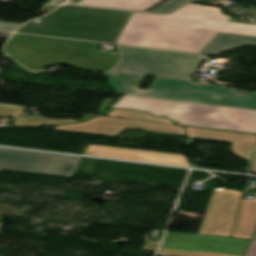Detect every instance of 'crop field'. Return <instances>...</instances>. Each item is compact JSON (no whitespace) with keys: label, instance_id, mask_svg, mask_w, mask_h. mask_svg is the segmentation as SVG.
Returning a JSON list of instances; mask_svg holds the SVG:
<instances>
[{"label":"crop field","instance_id":"1","mask_svg":"<svg viewBox=\"0 0 256 256\" xmlns=\"http://www.w3.org/2000/svg\"><path fill=\"white\" fill-rule=\"evenodd\" d=\"M229 19L208 6L202 19L132 13L117 43L200 53L217 32L256 36V25Z\"/></svg>","mask_w":256,"mask_h":256},{"label":"crop field","instance_id":"2","mask_svg":"<svg viewBox=\"0 0 256 256\" xmlns=\"http://www.w3.org/2000/svg\"><path fill=\"white\" fill-rule=\"evenodd\" d=\"M117 93L256 110V94L241 90L156 77L148 91L138 90L144 75L106 71Z\"/></svg>","mask_w":256,"mask_h":256},{"label":"crop field","instance_id":"3","mask_svg":"<svg viewBox=\"0 0 256 256\" xmlns=\"http://www.w3.org/2000/svg\"><path fill=\"white\" fill-rule=\"evenodd\" d=\"M124 108L166 116L177 123L256 133V111L124 95L110 109ZM251 172H256V155Z\"/></svg>","mask_w":256,"mask_h":256},{"label":"crop field","instance_id":"4","mask_svg":"<svg viewBox=\"0 0 256 256\" xmlns=\"http://www.w3.org/2000/svg\"><path fill=\"white\" fill-rule=\"evenodd\" d=\"M100 44L15 34L4 51L30 70L58 63H74L92 71L115 64L117 54L97 51Z\"/></svg>","mask_w":256,"mask_h":256},{"label":"crop field","instance_id":"5","mask_svg":"<svg viewBox=\"0 0 256 256\" xmlns=\"http://www.w3.org/2000/svg\"><path fill=\"white\" fill-rule=\"evenodd\" d=\"M18 32L114 43L130 12L62 6Z\"/></svg>","mask_w":256,"mask_h":256},{"label":"crop field","instance_id":"6","mask_svg":"<svg viewBox=\"0 0 256 256\" xmlns=\"http://www.w3.org/2000/svg\"><path fill=\"white\" fill-rule=\"evenodd\" d=\"M116 46L119 59L109 69L113 71L191 80L204 58L193 54Z\"/></svg>","mask_w":256,"mask_h":256},{"label":"crop field","instance_id":"7","mask_svg":"<svg viewBox=\"0 0 256 256\" xmlns=\"http://www.w3.org/2000/svg\"><path fill=\"white\" fill-rule=\"evenodd\" d=\"M250 241L168 232L158 256H244Z\"/></svg>","mask_w":256,"mask_h":256},{"label":"crop field","instance_id":"8","mask_svg":"<svg viewBox=\"0 0 256 256\" xmlns=\"http://www.w3.org/2000/svg\"><path fill=\"white\" fill-rule=\"evenodd\" d=\"M81 158L0 149V170L73 176Z\"/></svg>","mask_w":256,"mask_h":256},{"label":"crop field","instance_id":"9","mask_svg":"<svg viewBox=\"0 0 256 256\" xmlns=\"http://www.w3.org/2000/svg\"><path fill=\"white\" fill-rule=\"evenodd\" d=\"M242 193L215 189L198 234L230 237Z\"/></svg>","mask_w":256,"mask_h":256},{"label":"crop field","instance_id":"10","mask_svg":"<svg viewBox=\"0 0 256 256\" xmlns=\"http://www.w3.org/2000/svg\"><path fill=\"white\" fill-rule=\"evenodd\" d=\"M127 128L185 135L184 128L181 126L149 123L103 116H99L98 118H93L89 121L79 124L57 126L54 129L60 131L115 136L120 134Z\"/></svg>","mask_w":256,"mask_h":256},{"label":"crop field","instance_id":"11","mask_svg":"<svg viewBox=\"0 0 256 256\" xmlns=\"http://www.w3.org/2000/svg\"><path fill=\"white\" fill-rule=\"evenodd\" d=\"M186 130H187L188 137H191V138L232 143L231 152L248 161L251 160V156L256 146L255 135H247V134L191 128V127H186Z\"/></svg>","mask_w":256,"mask_h":256},{"label":"crop field","instance_id":"12","mask_svg":"<svg viewBox=\"0 0 256 256\" xmlns=\"http://www.w3.org/2000/svg\"><path fill=\"white\" fill-rule=\"evenodd\" d=\"M86 154L192 167L187 164L183 155H172L96 145H89Z\"/></svg>","mask_w":256,"mask_h":256},{"label":"crop field","instance_id":"13","mask_svg":"<svg viewBox=\"0 0 256 256\" xmlns=\"http://www.w3.org/2000/svg\"><path fill=\"white\" fill-rule=\"evenodd\" d=\"M247 45L256 46V37L217 33L201 54L218 55Z\"/></svg>","mask_w":256,"mask_h":256},{"label":"crop field","instance_id":"14","mask_svg":"<svg viewBox=\"0 0 256 256\" xmlns=\"http://www.w3.org/2000/svg\"><path fill=\"white\" fill-rule=\"evenodd\" d=\"M256 225V198L255 200L242 199L232 236L250 239Z\"/></svg>","mask_w":256,"mask_h":256},{"label":"crop field","instance_id":"15","mask_svg":"<svg viewBox=\"0 0 256 256\" xmlns=\"http://www.w3.org/2000/svg\"><path fill=\"white\" fill-rule=\"evenodd\" d=\"M163 0H85L83 5L147 11Z\"/></svg>","mask_w":256,"mask_h":256},{"label":"crop field","instance_id":"16","mask_svg":"<svg viewBox=\"0 0 256 256\" xmlns=\"http://www.w3.org/2000/svg\"><path fill=\"white\" fill-rule=\"evenodd\" d=\"M108 116L174 124V122L170 121L167 118H164V117H162V118H160V117L154 118L149 113L136 112V111H133V110L118 109V110L111 111L108 114Z\"/></svg>","mask_w":256,"mask_h":256},{"label":"crop field","instance_id":"17","mask_svg":"<svg viewBox=\"0 0 256 256\" xmlns=\"http://www.w3.org/2000/svg\"><path fill=\"white\" fill-rule=\"evenodd\" d=\"M204 6L188 4L172 15L201 18Z\"/></svg>","mask_w":256,"mask_h":256},{"label":"crop field","instance_id":"18","mask_svg":"<svg viewBox=\"0 0 256 256\" xmlns=\"http://www.w3.org/2000/svg\"><path fill=\"white\" fill-rule=\"evenodd\" d=\"M185 1H187V0H168V1H166L162 5L158 6L157 8H155L152 11L153 12L165 13V12H168V11L174 9L175 7H177L178 5L182 4Z\"/></svg>","mask_w":256,"mask_h":256},{"label":"crop field","instance_id":"19","mask_svg":"<svg viewBox=\"0 0 256 256\" xmlns=\"http://www.w3.org/2000/svg\"><path fill=\"white\" fill-rule=\"evenodd\" d=\"M20 24L0 22V30L14 31Z\"/></svg>","mask_w":256,"mask_h":256},{"label":"crop field","instance_id":"20","mask_svg":"<svg viewBox=\"0 0 256 256\" xmlns=\"http://www.w3.org/2000/svg\"><path fill=\"white\" fill-rule=\"evenodd\" d=\"M159 243L145 241L141 250L155 252Z\"/></svg>","mask_w":256,"mask_h":256},{"label":"crop field","instance_id":"21","mask_svg":"<svg viewBox=\"0 0 256 256\" xmlns=\"http://www.w3.org/2000/svg\"><path fill=\"white\" fill-rule=\"evenodd\" d=\"M245 256H256V240H252Z\"/></svg>","mask_w":256,"mask_h":256},{"label":"crop field","instance_id":"22","mask_svg":"<svg viewBox=\"0 0 256 256\" xmlns=\"http://www.w3.org/2000/svg\"><path fill=\"white\" fill-rule=\"evenodd\" d=\"M11 33L0 32V39L8 38Z\"/></svg>","mask_w":256,"mask_h":256},{"label":"crop field","instance_id":"23","mask_svg":"<svg viewBox=\"0 0 256 256\" xmlns=\"http://www.w3.org/2000/svg\"><path fill=\"white\" fill-rule=\"evenodd\" d=\"M252 239H256V230H255V233L253 235V238Z\"/></svg>","mask_w":256,"mask_h":256},{"label":"crop field","instance_id":"24","mask_svg":"<svg viewBox=\"0 0 256 256\" xmlns=\"http://www.w3.org/2000/svg\"><path fill=\"white\" fill-rule=\"evenodd\" d=\"M2 223H3V222H0V227H1Z\"/></svg>","mask_w":256,"mask_h":256},{"label":"crop field","instance_id":"25","mask_svg":"<svg viewBox=\"0 0 256 256\" xmlns=\"http://www.w3.org/2000/svg\"><path fill=\"white\" fill-rule=\"evenodd\" d=\"M254 1H256V0H254Z\"/></svg>","mask_w":256,"mask_h":256}]
</instances>
